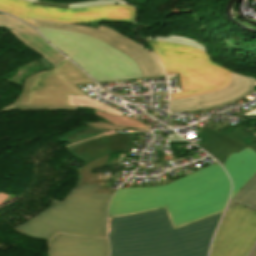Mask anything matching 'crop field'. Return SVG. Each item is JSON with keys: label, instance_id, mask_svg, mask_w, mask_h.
Returning <instances> with one entry per match:
<instances>
[{"label": "crop field", "instance_id": "obj_23", "mask_svg": "<svg viewBox=\"0 0 256 256\" xmlns=\"http://www.w3.org/2000/svg\"><path fill=\"white\" fill-rule=\"evenodd\" d=\"M0 27L4 28H13L15 30H21L31 33H37L31 27L17 21L16 19L8 16V15H0ZM38 34V33H37Z\"/></svg>", "mask_w": 256, "mask_h": 256}, {"label": "crop field", "instance_id": "obj_8", "mask_svg": "<svg viewBox=\"0 0 256 256\" xmlns=\"http://www.w3.org/2000/svg\"><path fill=\"white\" fill-rule=\"evenodd\" d=\"M93 82L68 59L35 78L26 104L68 105L69 95H84L74 84Z\"/></svg>", "mask_w": 256, "mask_h": 256}, {"label": "crop field", "instance_id": "obj_5", "mask_svg": "<svg viewBox=\"0 0 256 256\" xmlns=\"http://www.w3.org/2000/svg\"><path fill=\"white\" fill-rule=\"evenodd\" d=\"M159 56L167 74L180 72L183 92L172 96L195 93L226 86L230 71L214 63L200 50L170 43L147 41Z\"/></svg>", "mask_w": 256, "mask_h": 256}, {"label": "crop field", "instance_id": "obj_18", "mask_svg": "<svg viewBox=\"0 0 256 256\" xmlns=\"http://www.w3.org/2000/svg\"><path fill=\"white\" fill-rule=\"evenodd\" d=\"M236 203L256 211V174L230 201L227 210H229Z\"/></svg>", "mask_w": 256, "mask_h": 256}, {"label": "crop field", "instance_id": "obj_6", "mask_svg": "<svg viewBox=\"0 0 256 256\" xmlns=\"http://www.w3.org/2000/svg\"><path fill=\"white\" fill-rule=\"evenodd\" d=\"M0 11L32 24L24 17L41 20L80 23L100 20L134 23L135 9L126 5H104L85 9H56L33 5L22 0H0ZM36 28L34 24H32Z\"/></svg>", "mask_w": 256, "mask_h": 256}, {"label": "crop field", "instance_id": "obj_28", "mask_svg": "<svg viewBox=\"0 0 256 256\" xmlns=\"http://www.w3.org/2000/svg\"><path fill=\"white\" fill-rule=\"evenodd\" d=\"M255 86H256V78H255ZM245 116L246 117H253V116H256V109L248 112V113H245Z\"/></svg>", "mask_w": 256, "mask_h": 256}, {"label": "crop field", "instance_id": "obj_15", "mask_svg": "<svg viewBox=\"0 0 256 256\" xmlns=\"http://www.w3.org/2000/svg\"><path fill=\"white\" fill-rule=\"evenodd\" d=\"M12 34H14L18 39H20L23 43L31 47L34 51H36L41 56L45 57L49 62L53 65L58 63L59 61L65 59L59 52H57L53 47H51L46 41H44L40 36L22 33L17 31L9 30Z\"/></svg>", "mask_w": 256, "mask_h": 256}, {"label": "crop field", "instance_id": "obj_25", "mask_svg": "<svg viewBox=\"0 0 256 256\" xmlns=\"http://www.w3.org/2000/svg\"><path fill=\"white\" fill-rule=\"evenodd\" d=\"M120 126L124 127H132V128H140V129H145L147 126L135 119L126 117L124 115L121 116V121H120Z\"/></svg>", "mask_w": 256, "mask_h": 256}, {"label": "crop field", "instance_id": "obj_32", "mask_svg": "<svg viewBox=\"0 0 256 256\" xmlns=\"http://www.w3.org/2000/svg\"><path fill=\"white\" fill-rule=\"evenodd\" d=\"M53 67L48 68V70H51Z\"/></svg>", "mask_w": 256, "mask_h": 256}, {"label": "crop field", "instance_id": "obj_29", "mask_svg": "<svg viewBox=\"0 0 256 256\" xmlns=\"http://www.w3.org/2000/svg\"><path fill=\"white\" fill-rule=\"evenodd\" d=\"M42 62L46 65V66H51L52 64L49 63L45 58L41 59Z\"/></svg>", "mask_w": 256, "mask_h": 256}, {"label": "crop field", "instance_id": "obj_17", "mask_svg": "<svg viewBox=\"0 0 256 256\" xmlns=\"http://www.w3.org/2000/svg\"><path fill=\"white\" fill-rule=\"evenodd\" d=\"M47 71H42L38 73L37 75L44 73ZM33 76L27 79L23 86V90L19 96V98L16 100L15 103L10 104L6 107H4L0 112H5L12 109H77L78 106H43V105H25L27 95L32 87L33 79L37 76ZM38 77V76H37Z\"/></svg>", "mask_w": 256, "mask_h": 256}, {"label": "crop field", "instance_id": "obj_2", "mask_svg": "<svg viewBox=\"0 0 256 256\" xmlns=\"http://www.w3.org/2000/svg\"><path fill=\"white\" fill-rule=\"evenodd\" d=\"M222 213L175 230L165 208L108 218L111 256H207Z\"/></svg>", "mask_w": 256, "mask_h": 256}, {"label": "crop field", "instance_id": "obj_27", "mask_svg": "<svg viewBox=\"0 0 256 256\" xmlns=\"http://www.w3.org/2000/svg\"><path fill=\"white\" fill-rule=\"evenodd\" d=\"M94 114L104 118L107 123L119 126L120 117L117 115L108 114L97 110H94Z\"/></svg>", "mask_w": 256, "mask_h": 256}, {"label": "crop field", "instance_id": "obj_13", "mask_svg": "<svg viewBox=\"0 0 256 256\" xmlns=\"http://www.w3.org/2000/svg\"><path fill=\"white\" fill-rule=\"evenodd\" d=\"M223 166L233 181L232 199L256 173V153L248 147L239 153L230 154Z\"/></svg>", "mask_w": 256, "mask_h": 256}, {"label": "crop field", "instance_id": "obj_20", "mask_svg": "<svg viewBox=\"0 0 256 256\" xmlns=\"http://www.w3.org/2000/svg\"><path fill=\"white\" fill-rule=\"evenodd\" d=\"M106 132L108 131H100V130H95L90 128H78L77 130H75L70 134L57 138V141L58 142L65 141L72 144V143H76L84 139L91 138Z\"/></svg>", "mask_w": 256, "mask_h": 256}, {"label": "crop field", "instance_id": "obj_14", "mask_svg": "<svg viewBox=\"0 0 256 256\" xmlns=\"http://www.w3.org/2000/svg\"><path fill=\"white\" fill-rule=\"evenodd\" d=\"M197 130L199 133H197L198 135L196 136H199L203 142L198 145L216 158L222 165L230 153L239 152L244 149L232 140L223 137V135L217 133L209 127L203 130L198 128Z\"/></svg>", "mask_w": 256, "mask_h": 256}, {"label": "crop field", "instance_id": "obj_11", "mask_svg": "<svg viewBox=\"0 0 256 256\" xmlns=\"http://www.w3.org/2000/svg\"><path fill=\"white\" fill-rule=\"evenodd\" d=\"M136 135L137 133L120 134L112 131L66 148L71 155L87 164L111 153L129 151Z\"/></svg>", "mask_w": 256, "mask_h": 256}, {"label": "crop field", "instance_id": "obj_12", "mask_svg": "<svg viewBox=\"0 0 256 256\" xmlns=\"http://www.w3.org/2000/svg\"><path fill=\"white\" fill-rule=\"evenodd\" d=\"M49 256H109L108 240L57 234L49 241Z\"/></svg>", "mask_w": 256, "mask_h": 256}, {"label": "crop field", "instance_id": "obj_9", "mask_svg": "<svg viewBox=\"0 0 256 256\" xmlns=\"http://www.w3.org/2000/svg\"><path fill=\"white\" fill-rule=\"evenodd\" d=\"M28 20H30L36 26L80 32L102 40L128 55L137 64L144 77L165 75L163 67L157 56L146 50L137 42L123 36L109 27L99 25L97 29H91L78 25L34 19Z\"/></svg>", "mask_w": 256, "mask_h": 256}, {"label": "crop field", "instance_id": "obj_19", "mask_svg": "<svg viewBox=\"0 0 256 256\" xmlns=\"http://www.w3.org/2000/svg\"><path fill=\"white\" fill-rule=\"evenodd\" d=\"M34 4H41L45 6L57 7V8H85L103 4H127L121 0H93L87 2L65 3V2H48L44 0H25ZM129 5V4H127Z\"/></svg>", "mask_w": 256, "mask_h": 256}, {"label": "crop field", "instance_id": "obj_16", "mask_svg": "<svg viewBox=\"0 0 256 256\" xmlns=\"http://www.w3.org/2000/svg\"><path fill=\"white\" fill-rule=\"evenodd\" d=\"M207 126L213 128L217 132L225 135L226 137L234 140L236 143L241 145L242 147L249 146L254 151H256V136L248 133L247 131L235 127L230 124L229 121L226 122H218L214 124V122L208 124Z\"/></svg>", "mask_w": 256, "mask_h": 256}, {"label": "crop field", "instance_id": "obj_21", "mask_svg": "<svg viewBox=\"0 0 256 256\" xmlns=\"http://www.w3.org/2000/svg\"><path fill=\"white\" fill-rule=\"evenodd\" d=\"M69 105H80L83 107H89L92 109H98V110H102L105 112L114 113L119 116L122 115V113H120L104 104H101L89 97L70 96Z\"/></svg>", "mask_w": 256, "mask_h": 256}, {"label": "crop field", "instance_id": "obj_24", "mask_svg": "<svg viewBox=\"0 0 256 256\" xmlns=\"http://www.w3.org/2000/svg\"><path fill=\"white\" fill-rule=\"evenodd\" d=\"M248 77V76H247ZM248 82H249V86H248V89L243 93L241 94L240 96H238L237 98L235 99H232V100H229V101H226L224 103H221V104H217V105H212V106H208V107H203L201 108V110H207V109H210V108H214V107H218V106H221V105H224V104H228V103H232L234 101H237L243 97H245L247 94H249L253 88H254V78L252 77H248Z\"/></svg>", "mask_w": 256, "mask_h": 256}, {"label": "crop field", "instance_id": "obj_7", "mask_svg": "<svg viewBox=\"0 0 256 256\" xmlns=\"http://www.w3.org/2000/svg\"><path fill=\"white\" fill-rule=\"evenodd\" d=\"M255 243L256 212L236 204L222 218L211 256H247Z\"/></svg>", "mask_w": 256, "mask_h": 256}, {"label": "crop field", "instance_id": "obj_3", "mask_svg": "<svg viewBox=\"0 0 256 256\" xmlns=\"http://www.w3.org/2000/svg\"><path fill=\"white\" fill-rule=\"evenodd\" d=\"M101 184L75 186L62 202L53 199L49 207L16 228L33 237L48 239L56 232L107 237L106 215L113 193L94 194Z\"/></svg>", "mask_w": 256, "mask_h": 256}, {"label": "crop field", "instance_id": "obj_31", "mask_svg": "<svg viewBox=\"0 0 256 256\" xmlns=\"http://www.w3.org/2000/svg\"><path fill=\"white\" fill-rule=\"evenodd\" d=\"M252 254V253H251ZM251 256H256V248Z\"/></svg>", "mask_w": 256, "mask_h": 256}, {"label": "crop field", "instance_id": "obj_1", "mask_svg": "<svg viewBox=\"0 0 256 256\" xmlns=\"http://www.w3.org/2000/svg\"><path fill=\"white\" fill-rule=\"evenodd\" d=\"M229 193V178L215 163L167 185L119 189L110 203L108 217L166 207L175 229L222 212Z\"/></svg>", "mask_w": 256, "mask_h": 256}, {"label": "crop field", "instance_id": "obj_30", "mask_svg": "<svg viewBox=\"0 0 256 256\" xmlns=\"http://www.w3.org/2000/svg\"><path fill=\"white\" fill-rule=\"evenodd\" d=\"M14 229L16 230V231H18L15 227H14ZM18 232H20V231H18ZM20 233H22V232H20ZM23 234V233H22ZM25 235V234H24ZM26 236H28V235H26ZM30 237V236H29ZM33 238V237H32ZM35 239H38V238H35ZM41 240H48V239H41ZM49 241V240H48Z\"/></svg>", "mask_w": 256, "mask_h": 256}, {"label": "crop field", "instance_id": "obj_4", "mask_svg": "<svg viewBox=\"0 0 256 256\" xmlns=\"http://www.w3.org/2000/svg\"><path fill=\"white\" fill-rule=\"evenodd\" d=\"M44 38L82 67L97 82L143 78L125 54L90 36L38 27Z\"/></svg>", "mask_w": 256, "mask_h": 256}, {"label": "crop field", "instance_id": "obj_10", "mask_svg": "<svg viewBox=\"0 0 256 256\" xmlns=\"http://www.w3.org/2000/svg\"><path fill=\"white\" fill-rule=\"evenodd\" d=\"M231 73L232 81L225 88L173 97L169 110L173 113L197 110L199 107L221 103L240 95L248 86L247 77Z\"/></svg>", "mask_w": 256, "mask_h": 256}, {"label": "crop field", "instance_id": "obj_26", "mask_svg": "<svg viewBox=\"0 0 256 256\" xmlns=\"http://www.w3.org/2000/svg\"><path fill=\"white\" fill-rule=\"evenodd\" d=\"M82 125L83 126H88V127H93V128L104 129V130H113V129L126 130V129L121 128V127L109 126V125H107L105 123H101V122H88V121H84V120H82Z\"/></svg>", "mask_w": 256, "mask_h": 256}, {"label": "crop field", "instance_id": "obj_22", "mask_svg": "<svg viewBox=\"0 0 256 256\" xmlns=\"http://www.w3.org/2000/svg\"><path fill=\"white\" fill-rule=\"evenodd\" d=\"M141 37L144 38L145 40L150 39V40H155V41H164V42H171V43H175V44H179V45L190 46L193 48L200 49L207 54L203 44L193 41L191 39L178 37V36L156 37V36H143L142 35Z\"/></svg>", "mask_w": 256, "mask_h": 256}]
</instances>
